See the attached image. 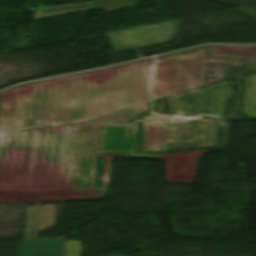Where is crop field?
<instances>
[{
  "mask_svg": "<svg viewBox=\"0 0 256 256\" xmlns=\"http://www.w3.org/2000/svg\"><path fill=\"white\" fill-rule=\"evenodd\" d=\"M214 58H256V46L209 45L9 90L0 94V132L80 122L203 86L206 63L256 64Z\"/></svg>",
  "mask_w": 256,
  "mask_h": 256,
  "instance_id": "1",
  "label": "crop field"
},
{
  "mask_svg": "<svg viewBox=\"0 0 256 256\" xmlns=\"http://www.w3.org/2000/svg\"><path fill=\"white\" fill-rule=\"evenodd\" d=\"M55 205L40 206L38 231L54 225ZM22 240L20 256H63L64 238H43Z\"/></svg>",
  "mask_w": 256,
  "mask_h": 256,
  "instance_id": "2",
  "label": "crop field"
},
{
  "mask_svg": "<svg viewBox=\"0 0 256 256\" xmlns=\"http://www.w3.org/2000/svg\"><path fill=\"white\" fill-rule=\"evenodd\" d=\"M92 3L93 1L76 3V4H68V5H60V6L36 7L35 20L64 15V14H70V13H75L80 11H86L91 8ZM84 6H90V7L43 13V11H48V10H57V9H66V8H75V7H84Z\"/></svg>",
  "mask_w": 256,
  "mask_h": 256,
  "instance_id": "3",
  "label": "crop field"
},
{
  "mask_svg": "<svg viewBox=\"0 0 256 256\" xmlns=\"http://www.w3.org/2000/svg\"><path fill=\"white\" fill-rule=\"evenodd\" d=\"M139 1L143 0H96L91 9L103 8L107 12L137 6Z\"/></svg>",
  "mask_w": 256,
  "mask_h": 256,
  "instance_id": "4",
  "label": "crop field"
},
{
  "mask_svg": "<svg viewBox=\"0 0 256 256\" xmlns=\"http://www.w3.org/2000/svg\"><path fill=\"white\" fill-rule=\"evenodd\" d=\"M82 247L78 240H65L64 256H81Z\"/></svg>",
  "mask_w": 256,
  "mask_h": 256,
  "instance_id": "5",
  "label": "crop field"
}]
</instances>
